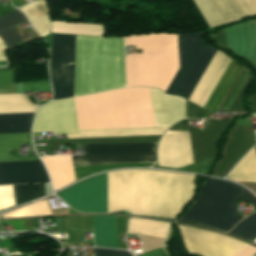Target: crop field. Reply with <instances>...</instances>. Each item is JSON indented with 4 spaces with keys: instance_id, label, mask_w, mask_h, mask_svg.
<instances>
[{
    "instance_id": "8a807250",
    "label": "crop field",
    "mask_w": 256,
    "mask_h": 256,
    "mask_svg": "<svg viewBox=\"0 0 256 256\" xmlns=\"http://www.w3.org/2000/svg\"><path fill=\"white\" fill-rule=\"evenodd\" d=\"M78 130L154 127L149 88L74 98Z\"/></svg>"
},
{
    "instance_id": "ac0d7876",
    "label": "crop field",
    "mask_w": 256,
    "mask_h": 256,
    "mask_svg": "<svg viewBox=\"0 0 256 256\" xmlns=\"http://www.w3.org/2000/svg\"><path fill=\"white\" fill-rule=\"evenodd\" d=\"M197 32L178 34L179 55ZM198 32L179 56L180 68L166 90V93L188 98L215 51L213 46L206 45ZM230 57L216 51L188 100L203 108L216 83L230 61Z\"/></svg>"
},
{
    "instance_id": "34b2d1b8",
    "label": "crop field",
    "mask_w": 256,
    "mask_h": 256,
    "mask_svg": "<svg viewBox=\"0 0 256 256\" xmlns=\"http://www.w3.org/2000/svg\"><path fill=\"white\" fill-rule=\"evenodd\" d=\"M124 85L123 38L76 36L74 96Z\"/></svg>"
},
{
    "instance_id": "412701ff",
    "label": "crop field",
    "mask_w": 256,
    "mask_h": 256,
    "mask_svg": "<svg viewBox=\"0 0 256 256\" xmlns=\"http://www.w3.org/2000/svg\"><path fill=\"white\" fill-rule=\"evenodd\" d=\"M125 45L142 46V54L125 58L127 87L151 86L165 92L178 69L176 34L125 36Z\"/></svg>"
},
{
    "instance_id": "f4fd0767",
    "label": "crop field",
    "mask_w": 256,
    "mask_h": 256,
    "mask_svg": "<svg viewBox=\"0 0 256 256\" xmlns=\"http://www.w3.org/2000/svg\"><path fill=\"white\" fill-rule=\"evenodd\" d=\"M239 199L248 200L256 209V198L247 190L226 181L209 178L181 219L228 231L242 217L236 211Z\"/></svg>"
},
{
    "instance_id": "dd49c442",
    "label": "crop field",
    "mask_w": 256,
    "mask_h": 256,
    "mask_svg": "<svg viewBox=\"0 0 256 256\" xmlns=\"http://www.w3.org/2000/svg\"><path fill=\"white\" fill-rule=\"evenodd\" d=\"M75 35L52 34L53 100L73 96Z\"/></svg>"
},
{
    "instance_id": "e52e79f7",
    "label": "crop field",
    "mask_w": 256,
    "mask_h": 256,
    "mask_svg": "<svg viewBox=\"0 0 256 256\" xmlns=\"http://www.w3.org/2000/svg\"><path fill=\"white\" fill-rule=\"evenodd\" d=\"M178 226L187 251L200 256H232L248 245L217 233Z\"/></svg>"
},
{
    "instance_id": "d8731c3e",
    "label": "crop field",
    "mask_w": 256,
    "mask_h": 256,
    "mask_svg": "<svg viewBox=\"0 0 256 256\" xmlns=\"http://www.w3.org/2000/svg\"><path fill=\"white\" fill-rule=\"evenodd\" d=\"M57 196L79 211L107 212L106 174L85 180Z\"/></svg>"
},
{
    "instance_id": "5a996713",
    "label": "crop field",
    "mask_w": 256,
    "mask_h": 256,
    "mask_svg": "<svg viewBox=\"0 0 256 256\" xmlns=\"http://www.w3.org/2000/svg\"><path fill=\"white\" fill-rule=\"evenodd\" d=\"M54 131V135L78 133L73 98L49 102L35 116L33 132Z\"/></svg>"
},
{
    "instance_id": "3316defc",
    "label": "crop field",
    "mask_w": 256,
    "mask_h": 256,
    "mask_svg": "<svg viewBox=\"0 0 256 256\" xmlns=\"http://www.w3.org/2000/svg\"><path fill=\"white\" fill-rule=\"evenodd\" d=\"M209 28L256 15V0H193Z\"/></svg>"
},
{
    "instance_id": "28ad6ade",
    "label": "crop field",
    "mask_w": 256,
    "mask_h": 256,
    "mask_svg": "<svg viewBox=\"0 0 256 256\" xmlns=\"http://www.w3.org/2000/svg\"><path fill=\"white\" fill-rule=\"evenodd\" d=\"M159 166L179 168L192 163L188 132L166 131L158 146Z\"/></svg>"
},
{
    "instance_id": "d1516ede",
    "label": "crop field",
    "mask_w": 256,
    "mask_h": 256,
    "mask_svg": "<svg viewBox=\"0 0 256 256\" xmlns=\"http://www.w3.org/2000/svg\"><path fill=\"white\" fill-rule=\"evenodd\" d=\"M49 182L40 161L0 163V184Z\"/></svg>"
},
{
    "instance_id": "22f410ed",
    "label": "crop field",
    "mask_w": 256,
    "mask_h": 256,
    "mask_svg": "<svg viewBox=\"0 0 256 256\" xmlns=\"http://www.w3.org/2000/svg\"><path fill=\"white\" fill-rule=\"evenodd\" d=\"M228 48L256 65V20L225 29Z\"/></svg>"
},
{
    "instance_id": "cbeb9de0",
    "label": "crop field",
    "mask_w": 256,
    "mask_h": 256,
    "mask_svg": "<svg viewBox=\"0 0 256 256\" xmlns=\"http://www.w3.org/2000/svg\"><path fill=\"white\" fill-rule=\"evenodd\" d=\"M156 127L171 126L184 119L185 100L150 88Z\"/></svg>"
},
{
    "instance_id": "5142ce71",
    "label": "crop field",
    "mask_w": 256,
    "mask_h": 256,
    "mask_svg": "<svg viewBox=\"0 0 256 256\" xmlns=\"http://www.w3.org/2000/svg\"><path fill=\"white\" fill-rule=\"evenodd\" d=\"M52 180L54 190L75 181L70 156H54L42 159Z\"/></svg>"
},
{
    "instance_id": "d9b57169",
    "label": "crop field",
    "mask_w": 256,
    "mask_h": 256,
    "mask_svg": "<svg viewBox=\"0 0 256 256\" xmlns=\"http://www.w3.org/2000/svg\"><path fill=\"white\" fill-rule=\"evenodd\" d=\"M243 67L231 59L204 108L214 109L220 107Z\"/></svg>"
},
{
    "instance_id": "733c2abd",
    "label": "crop field",
    "mask_w": 256,
    "mask_h": 256,
    "mask_svg": "<svg viewBox=\"0 0 256 256\" xmlns=\"http://www.w3.org/2000/svg\"><path fill=\"white\" fill-rule=\"evenodd\" d=\"M156 143L83 145L84 155L155 153Z\"/></svg>"
},
{
    "instance_id": "4a817a6b",
    "label": "crop field",
    "mask_w": 256,
    "mask_h": 256,
    "mask_svg": "<svg viewBox=\"0 0 256 256\" xmlns=\"http://www.w3.org/2000/svg\"><path fill=\"white\" fill-rule=\"evenodd\" d=\"M73 166L155 161L156 154L71 156Z\"/></svg>"
},
{
    "instance_id": "bc2a9ffb",
    "label": "crop field",
    "mask_w": 256,
    "mask_h": 256,
    "mask_svg": "<svg viewBox=\"0 0 256 256\" xmlns=\"http://www.w3.org/2000/svg\"><path fill=\"white\" fill-rule=\"evenodd\" d=\"M24 21H26L25 17L16 9L0 17V38L8 50L25 45L12 27Z\"/></svg>"
},
{
    "instance_id": "214f88e0",
    "label": "crop field",
    "mask_w": 256,
    "mask_h": 256,
    "mask_svg": "<svg viewBox=\"0 0 256 256\" xmlns=\"http://www.w3.org/2000/svg\"><path fill=\"white\" fill-rule=\"evenodd\" d=\"M168 127L142 128V129H116V130H90L79 131V134L66 135V139L89 137H118V136H147L161 135Z\"/></svg>"
},
{
    "instance_id": "92a150f3",
    "label": "crop field",
    "mask_w": 256,
    "mask_h": 256,
    "mask_svg": "<svg viewBox=\"0 0 256 256\" xmlns=\"http://www.w3.org/2000/svg\"><path fill=\"white\" fill-rule=\"evenodd\" d=\"M93 229L96 245L117 248L115 217L93 216Z\"/></svg>"
},
{
    "instance_id": "dafd665d",
    "label": "crop field",
    "mask_w": 256,
    "mask_h": 256,
    "mask_svg": "<svg viewBox=\"0 0 256 256\" xmlns=\"http://www.w3.org/2000/svg\"><path fill=\"white\" fill-rule=\"evenodd\" d=\"M21 144H28L32 148L30 133L0 134V162L39 160L38 157L10 158V148H19Z\"/></svg>"
},
{
    "instance_id": "00972430",
    "label": "crop field",
    "mask_w": 256,
    "mask_h": 256,
    "mask_svg": "<svg viewBox=\"0 0 256 256\" xmlns=\"http://www.w3.org/2000/svg\"><path fill=\"white\" fill-rule=\"evenodd\" d=\"M102 24H80L51 21L50 33L103 36Z\"/></svg>"
},
{
    "instance_id": "a9b5d70f",
    "label": "crop field",
    "mask_w": 256,
    "mask_h": 256,
    "mask_svg": "<svg viewBox=\"0 0 256 256\" xmlns=\"http://www.w3.org/2000/svg\"><path fill=\"white\" fill-rule=\"evenodd\" d=\"M34 113L0 114V133L30 132Z\"/></svg>"
},
{
    "instance_id": "4177f3b9",
    "label": "crop field",
    "mask_w": 256,
    "mask_h": 256,
    "mask_svg": "<svg viewBox=\"0 0 256 256\" xmlns=\"http://www.w3.org/2000/svg\"><path fill=\"white\" fill-rule=\"evenodd\" d=\"M36 108L25 95H0V113L34 112Z\"/></svg>"
},
{
    "instance_id": "730fd06b",
    "label": "crop field",
    "mask_w": 256,
    "mask_h": 256,
    "mask_svg": "<svg viewBox=\"0 0 256 256\" xmlns=\"http://www.w3.org/2000/svg\"><path fill=\"white\" fill-rule=\"evenodd\" d=\"M154 162L147 163H131V164H114V165H97V166H82V167H73L76 181L82 179L86 176L95 174L97 172L125 168V167H149L153 165Z\"/></svg>"
},
{
    "instance_id": "eef30255",
    "label": "crop field",
    "mask_w": 256,
    "mask_h": 256,
    "mask_svg": "<svg viewBox=\"0 0 256 256\" xmlns=\"http://www.w3.org/2000/svg\"><path fill=\"white\" fill-rule=\"evenodd\" d=\"M13 189L16 205L41 197L43 194H45V188L42 184L13 185Z\"/></svg>"
},
{
    "instance_id": "ae1a2a85",
    "label": "crop field",
    "mask_w": 256,
    "mask_h": 256,
    "mask_svg": "<svg viewBox=\"0 0 256 256\" xmlns=\"http://www.w3.org/2000/svg\"><path fill=\"white\" fill-rule=\"evenodd\" d=\"M51 215L48 202H35L29 206L19 208L13 212H9L3 215V218H12V217H25V216H43Z\"/></svg>"
},
{
    "instance_id": "d3111659",
    "label": "crop field",
    "mask_w": 256,
    "mask_h": 256,
    "mask_svg": "<svg viewBox=\"0 0 256 256\" xmlns=\"http://www.w3.org/2000/svg\"><path fill=\"white\" fill-rule=\"evenodd\" d=\"M229 234L251 240L256 237V213L241 220Z\"/></svg>"
},
{
    "instance_id": "750c4746",
    "label": "crop field",
    "mask_w": 256,
    "mask_h": 256,
    "mask_svg": "<svg viewBox=\"0 0 256 256\" xmlns=\"http://www.w3.org/2000/svg\"><path fill=\"white\" fill-rule=\"evenodd\" d=\"M12 186H0V210L14 206Z\"/></svg>"
},
{
    "instance_id": "bd1437ed",
    "label": "crop field",
    "mask_w": 256,
    "mask_h": 256,
    "mask_svg": "<svg viewBox=\"0 0 256 256\" xmlns=\"http://www.w3.org/2000/svg\"><path fill=\"white\" fill-rule=\"evenodd\" d=\"M95 256H131L129 253L124 251H116V250H103V249H92Z\"/></svg>"
},
{
    "instance_id": "1d83c4d3",
    "label": "crop field",
    "mask_w": 256,
    "mask_h": 256,
    "mask_svg": "<svg viewBox=\"0 0 256 256\" xmlns=\"http://www.w3.org/2000/svg\"><path fill=\"white\" fill-rule=\"evenodd\" d=\"M248 73H249V70L246 69V71L240 78L239 82L237 83L236 87L234 88L233 92L231 93L230 97L228 98L227 102L225 103L224 107L229 108L231 102L233 101L234 97L236 96L238 90L240 89V87H241L242 83L244 82L245 78L247 77Z\"/></svg>"
},
{
    "instance_id": "120bbe31",
    "label": "crop field",
    "mask_w": 256,
    "mask_h": 256,
    "mask_svg": "<svg viewBox=\"0 0 256 256\" xmlns=\"http://www.w3.org/2000/svg\"><path fill=\"white\" fill-rule=\"evenodd\" d=\"M0 65H6V61L0 62ZM3 83H13L12 70L0 71V84H3Z\"/></svg>"
},
{
    "instance_id": "d32e631a",
    "label": "crop field",
    "mask_w": 256,
    "mask_h": 256,
    "mask_svg": "<svg viewBox=\"0 0 256 256\" xmlns=\"http://www.w3.org/2000/svg\"><path fill=\"white\" fill-rule=\"evenodd\" d=\"M256 253V248L249 245L234 256H253Z\"/></svg>"
},
{
    "instance_id": "5866460e",
    "label": "crop field",
    "mask_w": 256,
    "mask_h": 256,
    "mask_svg": "<svg viewBox=\"0 0 256 256\" xmlns=\"http://www.w3.org/2000/svg\"><path fill=\"white\" fill-rule=\"evenodd\" d=\"M139 256H166L164 254V252L161 250V248L159 249H156L154 251H151V252H148L146 254H143V255H139Z\"/></svg>"
},
{
    "instance_id": "028f5c9d",
    "label": "crop field",
    "mask_w": 256,
    "mask_h": 256,
    "mask_svg": "<svg viewBox=\"0 0 256 256\" xmlns=\"http://www.w3.org/2000/svg\"><path fill=\"white\" fill-rule=\"evenodd\" d=\"M0 42H2L0 40ZM6 47L4 45V43H0V60H8L7 56H6Z\"/></svg>"
},
{
    "instance_id": "e1f06a70",
    "label": "crop field",
    "mask_w": 256,
    "mask_h": 256,
    "mask_svg": "<svg viewBox=\"0 0 256 256\" xmlns=\"http://www.w3.org/2000/svg\"><path fill=\"white\" fill-rule=\"evenodd\" d=\"M13 9H15V8H13V7L11 6V4L3 6V5L0 3V16H2V15H4V14L8 13L9 11H11V10H13Z\"/></svg>"
},
{
    "instance_id": "0bd39190",
    "label": "crop field",
    "mask_w": 256,
    "mask_h": 256,
    "mask_svg": "<svg viewBox=\"0 0 256 256\" xmlns=\"http://www.w3.org/2000/svg\"><path fill=\"white\" fill-rule=\"evenodd\" d=\"M11 3L15 6V7H19L21 5H23L24 3L21 0H10Z\"/></svg>"
},
{
    "instance_id": "b80d0937",
    "label": "crop field",
    "mask_w": 256,
    "mask_h": 256,
    "mask_svg": "<svg viewBox=\"0 0 256 256\" xmlns=\"http://www.w3.org/2000/svg\"><path fill=\"white\" fill-rule=\"evenodd\" d=\"M254 149H255V152H256V146L254 147Z\"/></svg>"
}]
</instances>
